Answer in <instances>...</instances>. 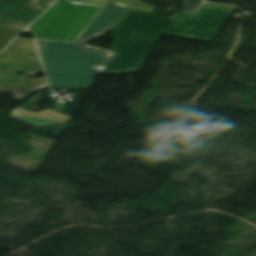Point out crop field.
<instances>
[{
	"mask_svg": "<svg viewBox=\"0 0 256 256\" xmlns=\"http://www.w3.org/2000/svg\"><path fill=\"white\" fill-rule=\"evenodd\" d=\"M65 1H73V2H81V3H89V4H97L104 5L107 0H65Z\"/></svg>",
	"mask_w": 256,
	"mask_h": 256,
	"instance_id": "crop-field-11",
	"label": "crop field"
},
{
	"mask_svg": "<svg viewBox=\"0 0 256 256\" xmlns=\"http://www.w3.org/2000/svg\"><path fill=\"white\" fill-rule=\"evenodd\" d=\"M203 0H183V11L196 10Z\"/></svg>",
	"mask_w": 256,
	"mask_h": 256,
	"instance_id": "crop-field-10",
	"label": "crop field"
},
{
	"mask_svg": "<svg viewBox=\"0 0 256 256\" xmlns=\"http://www.w3.org/2000/svg\"><path fill=\"white\" fill-rule=\"evenodd\" d=\"M53 1L54 0H41L42 4L46 7H49Z\"/></svg>",
	"mask_w": 256,
	"mask_h": 256,
	"instance_id": "crop-field-12",
	"label": "crop field"
},
{
	"mask_svg": "<svg viewBox=\"0 0 256 256\" xmlns=\"http://www.w3.org/2000/svg\"><path fill=\"white\" fill-rule=\"evenodd\" d=\"M114 3L120 4L123 6H127V7H132V8L148 11V12H153L155 9V7L146 5L142 2H140L139 0H117Z\"/></svg>",
	"mask_w": 256,
	"mask_h": 256,
	"instance_id": "crop-field-9",
	"label": "crop field"
},
{
	"mask_svg": "<svg viewBox=\"0 0 256 256\" xmlns=\"http://www.w3.org/2000/svg\"><path fill=\"white\" fill-rule=\"evenodd\" d=\"M129 8L121 7L114 3H106L93 20L81 32L76 43L83 44L91 40L96 34L107 33L112 30L126 15Z\"/></svg>",
	"mask_w": 256,
	"mask_h": 256,
	"instance_id": "crop-field-6",
	"label": "crop field"
},
{
	"mask_svg": "<svg viewBox=\"0 0 256 256\" xmlns=\"http://www.w3.org/2000/svg\"><path fill=\"white\" fill-rule=\"evenodd\" d=\"M44 87V78H18L16 74H0V92L13 93L17 99H25Z\"/></svg>",
	"mask_w": 256,
	"mask_h": 256,
	"instance_id": "crop-field-7",
	"label": "crop field"
},
{
	"mask_svg": "<svg viewBox=\"0 0 256 256\" xmlns=\"http://www.w3.org/2000/svg\"><path fill=\"white\" fill-rule=\"evenodd\" d=\"M64 108L62 106H55L52 110H45L35 114L18 107L9 114V117L34 126H51L58 123L66 124L71 119V116L62 114Z\"/></svg>",
	"mask_w": 256,
	"mask_h": 256,
	"instance_id": "crop-field-8",
	"label": "crop field"
},
{
	"mask_svg": "<svg viewBox=\"0 0 256 256\" xmlns=\"http://www.w3.org/2000/svg\"><path fill=\"white\" fill-rule=\"evenodd\" d=\"M230 9L204 3L198 12L174 19L132 10L113 30L114 54L102 73L137 71L163 33L210 41L233 13Z\"/></svg>",
	"mask_w": 256,
	"mask_h": 256,
	"instance_id": "crop-field-1",
	"label": "crop field"
},
{
	"mask_svg": "<svg viewBox=\"0 0 256 256\" xmlns=\"http://www.w3.org/2000/svg\"><path fill=\"white\" fill-rule=\"evenodd\" d=\"M45 9L40 0H0V25L23 30Z\"/></svg>",
	"mask_w": 256,
	"mask_h": 256,
	"instance_id": "crop-field-5",
	"label": "crop field"
},
{
	"mask_svg": "<svg viewBox=\"0 0 256 256\" xmlns=\"http://www.w3.org/2000/svg\"><path fill=\"white\" fill-rule=\"evenodd\" d=\"M37 42L50 87L90 89L100 72L93 67L104 65L109 58L104 50L85 49L76 43Z\"/></svg>",
	"mask_w": 256,
	"mask_h": 256,
	"instance_id": "crop-field-2",
	"label": "crop field"
},
{
	"mask_svg": "<svg viewBox=\"0 0 256 256\" xmlns=\"http://www.w3.org/2000/svg\"><path fill=\"white\" fill-rule=\"evenodd\" d=\"M101 7L57 1L30 29L39 39L74 42Z\"/></svg>",
	"mask_w": 256,
	"mask_h": 256,
	"instance_id": "crop-field-3",
	"label": "crop field"
},
{
	"mask_svg": "<svg viewBox=\"0 0 256 256\" xmlns=\"http://www.w3.org/2000/svg\"><path fill=\"white\" fill-rule=\"evenodd\" d=\"M40 71L32 38H18L0 53V72Z\"/></svg>",
	"mask_w": 256,
	"mask_h": 256,
	"instance_id": "crop-field-4",
	"label": "crop field"
}]
</instances>
